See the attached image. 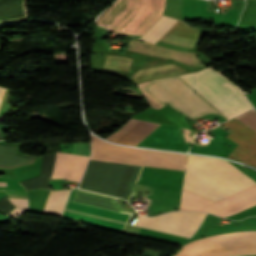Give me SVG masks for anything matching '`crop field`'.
Masks as SVG:
<instances>
[{
  "instance_id": "crop-field-10",
  "label": "crop field",
  "mask_w": 256,
  "mask_h": 256,
  "mask_svg": "<svg viewBox=\"0 0 256 256\" xmlns=\"http://www.w3.org/2000/svg\"><path fill=\"white\" fill-rule=\"evenodd\" d=\"M222 124L233 130L226 137L238 144L228 157L256 168V132L236 118Z\"/></svg>"
},
{
  "instance_id": "crop-field-22",
  "label": "crop field",
  "mask_w": 256,
  "mask_h": 256,
  "mask_svg": "<svg viewBox=\"0 0 256 256\" xmlns=\"http://www.w3.org/2000/svg\"><path fill=\"white\" fill-rule=\"evenodd\" d=\"M1 139H3V138H2V134H1V131H0V140H1Z\"/></svg>"
},
{
  "instance_id": "crop-field-13",
  "label": "crop field",
  "mask_w": 256,
  "mask_h": 256,
  "mask_svg": "<svg viewBox=\"0 0 256 256\" xmlns=\"http://www.w3.org/2000/svg\"><path fill=\"white\" fill-rule=\"evenodd\" d=\"M198 35L199 30L178 23L161 40L192 48Z\"/></svg>"
},
{
  "instance_id": "crop-field-6",
  "label": "crop field",
  "mask_w": 256,
  "mask_h": 256,
  "mask_svg": "<svg viewBox=\"0 0 256 256\" xmlns=\"http://www.w3.org/2000/svg\"><path fill=\"white\" fill-rule=\"evenodd\" d=\"M244 240H256V231H244L215 235L192 241L183 245L181 248ZM246 253H256V241H244L185 248L180 249L174 256H229Z\"/></svg>"
},
{
  "instance_id": "crop-field-1",
  "label": "crop field",
  "mask_w": 256,
  "mask_h": 256,
  "mask_svg": "<svg viewBox=\"0 0 256 256\" xmlns=\"http://www.w3.org/2000/svg\"><path fill=\"white\" fill-rule=\"evenodd\" d=\"M180 79L184 84H186L189 88L193 87L197 92H199L202 96H204L208 101H210L214 106H216L220 111H222L229 118L240 114L250 108H252L251 104L248 100L243 96L242 92L239 88L234 85L232 82L227 80L225 77L217 73L210 67H207L197 73L185 74L181 75V78L175 76ZM175 77H169L164 79L152 80L148 81L141 88L152 97L161 107L164 106L165 101L170 100L176 107L186 111L188 114L194 116L204 111L208 110H217V111H208V112H216L224 115L220 112L216 107H214L210 102H208L205 98H203L199 93H197L193 88L189 89L186 85H184L180 80L172 79L160 82L159 80L171 79ZM150 83L149 85H147ZM147 85V86H146ZM146 86V87H145ZM154 95L152 96L145 88ZM171 102L168 103L174 107L175 109L181 111L185 115L196 118L202 114H206L208 112H204L202 114L196 115L194 117L188 115L184 111L176 108ZM224 115V116H225ZM225 116V117H226ZM226 117L227 119H229Z\"/></svg>"
},
{
  "instance_id": "crop-field-8",
  "label": "crop field",
  "mask_w": 256,
  "mask_h": 256,
  "mask_svg": "<svg viewBox=\"0 0 256 256\" xmlns=\"http://www.w3.org/2000/svg\"><path fill=\"white\" fill-rule=\"evenodd\" d=\"M127 49L140 52L149 56L160 57L167 60L171 58L186 64L204 67L201 61L195 57V54L177 52V51L170 50L168 48L156 46L146 42L140 43L136 41H130V44L127 47ZM183 72L184 71H182L180 68L174 65L168 64V65L136 70L132 72L131 76L134 79L141 82L151 78L175 75Z\"/></svg>"
},
{
  "instance_id": "crop-field-15",
  "label": "crop field",
  "mask_w": 256,
  "mask_h": 256,
  "mask_svg": "<svg viewBox=\"0 0 256 256\" xmlns=\"http://www.w3.org/2000/svg\"><path fill=\"white\" fill-rule=\"evenodd\" d=\"M176 21L177 19L162 16L141 39L155 43Z\"/></svg>"
},
{
  "instance_id": "crop-field-4",
  "label": "crop field",
  "mask_w": 256,
  "mask_h": 256,
  "mask_svg": "<svg viewBox=\"0 0 256 256\" xmlns=\"http://www.w3.org/2000/svg\"><path fill=\"white\" fill-rule=\"evenodd\" d=\"M163 10L164 0H118L97 24L122 33L142 35Z\"/></svg>"
},
{
  "instance_id": "crop-field-18",
  "label": "crop field",
  "mask_w": 256,
  "mask_h": 256,
  "mask_svg": "<svg viewBox=\"0 0 256 256\" xmlns=\"http://www.w3.org/2000/svg\"><path fill=\"white\" fill-rule=\"evenodd\" d=\"M9 200L18 207L28 208L27 199L9 198Z\"/></svg>"
},
{
  "instance_id": "crop-field-21",
  "label": "crop field",
  "mask_w": 256,
  "mask_h": 256,
  "mask_svg": "<svg viewBox=\"0 0 256 256\" xmlns=\"http://www.w3.org/2000/svg\"><path fill=\"white\" fill-rule=\"evenodd\" d=\"M0 186H6V182H0Z\"/></svg>"
},
{
  "instance_id": "crop-field-2",
  "label": "crop field",
  "mask_w": 256,
  "mask_h": 256,
  "mask_svg": "<svg viewBox=\"0 0 256 256\" xmlns=\"http://www.w3.org/2000/svg\"><path fill=\"white\" fill-rule=\"evenodd\" d=\"M189 155L187 158V163H186V169H185V174H184V180H183V186L184 188L185 181H186V175H187V170H188V165H189ZM194 157H200V156H194ZM191 157L190 159V165H189V170H188V175H187V181H186V188L198 192L200 194H203L205 196L211 197L213 199H218L224 195H227L233 191H236L242 187H245L251 182L253 184L249 185L252 186L256 184L254 181H252L249 177H247L244 173H242L239 169L235 168L231 164H229L226 161L219 160V159H214V158H207V157H200V158H207V159H213V160H218V161H213V160H207V159H200V158H194ZM247 186V187H249ZM245 187V188H247ZM244 189V188H242ZM240 189V190H242ZM187 190V189H185ZM188 190V191H190ZM238 190V191H240ZM190 191V192H192ZM193 192V193H195ZM237 192V191H236ZM195 193V194H198ZM235 193V192H233ZM198 194V195H200ZM232 194V193H231ZM201 195V196H203ZM230 195V194H229ZM203 196V197H205ZM228 196V195H227ZM206 197V198H208ZM225 197V196H224ZM208 198V199H211ZM223 198V197H222ZM211 199V200H213ZM216 201V200H213Z\"/></svg>"
},
{
  "instance_id": "crop-field-9",
  "label": "crop field",
  "mask_w": 256,
  "mask_h": 256,
  "mask_svg": "<svg viewBox=\"0 0 256 256\" xmlns=\"http://www.w3.org/2000/svg\"><path fill=\"white\" fill-rule=\"evenodd\" d=\"M205 216L197 212H169L151 218L138 215L134 225L190 238Z\"/></svg>"
},
{
  "instance_id": "crop-field-16",
  "label": "crop field",
  "mask_w": 256,
  "mask_h": 256,
  "mask_svg": "<svg viewBox=\"0 0 256 256\" xmlns=\"http://www.w3.org/2000/svg\"><path fill=\"white\" fill-rule=\"evenodd\" d=\"M68 192L69 190L50 191V194L43 212L60 213L64 206Z\"/></svg>"
},
{
  "instance_id": "crop-field-11",
  "label": "crop field",
  "mask_w": 256,
  "mask_h": 256,
  "mask_svg": "<svg viewBox=\"0 0 256 256\" xmlns=\"http://www.w3.org/2000/svg\"><path fill=\"white\" fill-rule=\"evenodd\" d=\"M159 125V123L131 118L117 132L105 139L124 145H136Z\"/></svg>"
},
{
  "instance_id": "crop-field-12",
  "label": "crop field",
  "mask_w": 256,
  "mask_h": 256,
  "mask_svg": "<svg viewBox=\"0 0 256 256\" xmlns=\"http://www.w3.org/2000/svg\"><path fill=\"white\" fill-rule=\"evenodd\" d=\"M88 157L57 152L55 168L50 179L64 178L80 181Z\"/></svg>"
},
{
  "instance_id": "crop-field-5",
  "label": "crop field",
  "mask_w": 256,
  "mask_h": 256,
  "mask_svg": "<svg viewBox=\"0 0 256 256\" xmlns=\"http://www.w3.org/2000/svg\"><path fill=\"white\" fill-rule=\"evenodd\" d=\"M91 159L180 170L183 154L119 147L91 136ZM185 157L183 156L182 168Z\"/></svg>"
},
{
  "instance_id": "crop-field-17",
  "label": "crop field",
  "mask_w": 256,
  "mask_h": 256,
  "mask_svg": "<svg viewBox=\"0 0 256 256\" xmlns=\"http://www.w3.org/2000/svg\"><path fill=\"white\" fill-rule=\"evenodd\" d=\"M131 59L129 57L107 55L103 66L129 69Z\"/></svg>"
},
{
  "instance_id": "crop-field-3",
  "label": "crop field",
  "mask_w": 256,
  "mask_h": 256,
  "mask_svg": "<svg viewBox=\"0 0 256 256\" xmlns=\"http://www.w3.org/2000/svg\"><path fill=\"white\" fill-rule=\"evenodd\" d=\"M117 199L116 197L72 189L63 215L123 230L131 213L126 212Z\"/></svg>"
},
{
  "instance_id": "crop-field-19",
  "label": "crop field",
  "mask_w": 256,
  "mask_h": 256,
  "mask_svg": "<svg viewBox=\"0 0 256 256\" xmlns=\"http://www.w3.org/2000/svg\"><path fill=\"white\" fill-rule=\"evenodd\" d=\"M24 209L15 208L13 211H11L8 215L12 217H17Z\"/></svg>"
},
{
  "instance_id": "crop-field-14",
  "label": "crop field",
  "mask_w": 256,
  "mask_h": 256,
  "mask_svg": "<svg viewBox=\"0 0 256 256\" xmlns=\"http://www.w3.org/2000/svg\"><path fill=\"white\" fill-rule=\"evenodd\" d=\"M17 148L0 145V167L13 168L34 162V158L15 155Z\"/></svg>"
},
{
  "instance_id": "crop-field-23",
  "label": "crop field",
  "mask_w": 256,
  "mask_h": 256,
  "mask_svg": "<svg viewBox=\"0 0 256 256\" xmlns=\"http://www.w3.org/2000/svg\"><path fill=\"white\" fill-rule=\"evenodd\" d=\"M246 256H256V255H246Z\"/></svg>"
},
{
  "instance_id": "crop-field-20",
  "label": "crop field",
  "mask_w": 256,
  "mask_h": 256,
  "mask_svg": "<svg viewBox=\"0 0 256 256\" xmlns=\"http://www.w3.org/2000/svg\"><path fill=\"white\" fill-rule=\"evenodd\" d=\"M4 92H5V89L0 88V103H1Z\"/></svg>"
},
{
  "instance_id": "crop-field-7",
  "label": "crop field",
  "mask_w": 256,
  "mask_h": 256,
  "mask_svg": "<svg viewBox=\"0 0 256 256\" xmlns=\"http://www.w3.org/2000/svg\"><path fill=\"white\" fill-rule=\"evenodd\" d=\"M256 205V185L213 202L182 189L179 210L207 211L221 217Z\"/></svg>"
}]
</instances>
